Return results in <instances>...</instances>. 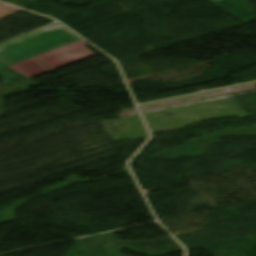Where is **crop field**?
<instances>
[{
  "mask_svg": "<svg viewBox=\"0 0 256 256\" xmlns=\"http://www.w3.org/2000/svg\"><path fill=\"white\" fill-rule=\"evenodd\" d=\"M81 40L59 23L0 44V62L9 65Z\"/></svg>",
  "mask_w": 256,
  "mask_h": 256,
  "instance_id": "crop-field-1",
  "label": "crop field"
},
{
  "mask_svg": "<svg viewBox=\"0 0 256 256\" xmlns=\"http://www.w3.org/2000/svg\"><path fill=\"white\" fill-rule=\"evenodd\" d=\"M83 40L73 44L61 47L59 49L36 56L42 63H44L52 71L77 62L84 58L94 55L87 47Z\"/></svg>",
  "mask_w": 256,
  "mask_h": 256,
  "instance_id": "crop-field-2",
  "label": "crop field"
},
{
  "mask_svg": "<svg viewBox=\"0 0 256 256\" xmlns=\"http://www.w3.org/2000/svg\"><path fill=\"white\" fill-rule=\"evenodd\" d=\"M13 69L32 79L37 76L51 72L45 65H43L35 57L9 65Z\"/></svg>",
  "mask_w": 256,
  "mask_h": 256,
  "instance_id": "crop-field-3",
  "label": "crop field"
}]
</instances>
